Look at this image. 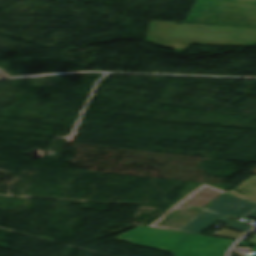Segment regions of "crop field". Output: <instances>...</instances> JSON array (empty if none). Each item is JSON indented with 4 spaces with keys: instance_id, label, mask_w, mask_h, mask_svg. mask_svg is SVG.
I'll return each mask as SVG.
<instances>
[{
    "instance_id": "obj_1",
    "label": "crop field",
    "mask_w": 256,
    "mask_h": 256,
    "mask_svg": "<svg viewBox=\"0 0 256 256\" xmlns=\"http://www.w3.org/2000/svg\"><path fill=\"white\" fill-rule=\"evenodd\" d=\"M114 240L174 253L175 256H224L231 240L139 226Z\"/></svg>"
},
{
    "instance_id": "obj_2",
    "label": "crop field",
    "mask_w": 256,
    "mask_h": 256,
    "mask_svg": "<svg viewBox=\"0 0 256 256\" xmlns=\"http://www.w3.org/2000/svg\"><path fill=\"white\" fill-rule=\"evenodd\" d=\"M186 22L256 28V0H197Z\"/></svg>"
},
{
    "instance_id": "obj_3",
    "label": "crop field",
    "mask_w": 256,
    "mask_h": 256,
    "mask_svg": "<svg viewBox=\"0 0 256 256\" xmlns=\"http://www.w3.org/2000/svg\"><path fill=\"white\" fill-rule=\"evenodd\" d=\"M230 215L246 216L256 219V204L231 194L225 193L204 209L198 216L185 225L180 231L201 234L215 222L228 225L226 228L246 232L252 227L225 219ZM249 227V228H248Z\"/></svg>"
},
{
    "instance_id": "obj_4",
    "label": "crop field",
    "mask_w": 256,
    "mask_h": 256,
    "mask_svg": "<svg viewBox=\"0 0 256 256\" xmlns=\"http://www.w3.org/2000/svg\"><path fill=\"white\" fill-rule=\"evenodd\" d=\"M241 244H245V245H250V246H256V243H252V242H245V241H241ZM246 256H256V247L253 250L252 254L250 255H246Z\"/></svg>"
},
{
    "instance_id": "obj_5",
    "label": "crop field",
    "mask_w": 256,
    "mask_h": 256,
    "mask_svg": "<svg viewBox=\"0 0 256 256\" xmlns=\"http://www.w3.org/2000/svg\"><path fill=\"white\" fill-rule=\"evenodd\" d=\"M250 172L256 174V168H254V169H253L252 171H250Z\"/></svg>"
},
{
    "instance_id": "obj_6",
    "label": "crop field",
    "mask_w": 256,
    "mask_h": 256,
    "mask_svg": "<svg viewBox=\"0 0 256 256\" xmlns=\"http://www.w3.org/2000/svg\"><path fill=\"white\" fill-rule=\"evenodd\" d=\"M252 241H256V236H255V238Z\"/></svg>"
}]
</instances>
